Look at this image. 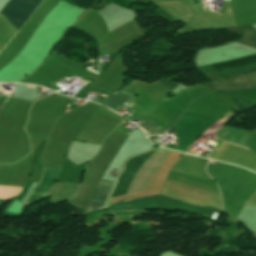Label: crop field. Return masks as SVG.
<instances>
[{
  "instance_id": "obj_1",
  "label": "crop field",
  "mask_w": 256,
  "mask_h": 256,
  "mask_svg": "<svg viewBox=\"0 0 256 256\" xmlns=\"http://www.w3.org/2000/svg\"><path fill=\"white\" fill-rule=\"evenodd\" d=\"M42 0H11L2 13L16 29H20Z\"/></svg>"
},
{
  "instance_id": "obj_2",
  "label": "crop field",
  "mask_w": 256,
  "mask_h": 256,
  "mask_svg": "<svg viewBox=\"0 0 256 256\" xmlns=\"http://www.w3.org/2000/svg\"><path fill=\"white\" fill-rule=\"evenodd\" d=\"M60 171L61 169L45 168L41 183L33 191L31 196L25 203L31 204L38 198L46 196L53 182L57 180Z\"/></svg>"
},
{
  "instance_id": "obj_3",
  "label": "crop field",
  "mask_w": 256,
  "mask_h": 256,
  "mask_svg": "<svg viewBox=\"0 0 256 256\" xmlns=\"http://www.w3.org/2000/svg\"><path fill=\"white\" fill-rule=\"evenodd\" d=\"M113 185H114L113 182H108L103 180L100 181L87 212L99 210L105 207L106 199Z\"/></svg>"
},
{
  "instance_id": "obj_4",
  "label": "crop field",
  "mask_w": 256,
  "mask_h": 256,
  "mask_svg": "<svg viewBox=\"0 0 256 256\" xmlns=\"http://www.w3.org/2000/svg\"><path fill=\"white\" fill-rule=\"evenodd\" d=\"M253 62H256V55L212 65L211 67L214 68L216 71H219V70L237 67V66H241V65H245Z\"/></svg>"
},
{
  "instance_id": "obj_5",
  "label": "crop field",
  "mask_w": 256,
  "mask_h": 256,
  "mask_svg": "<svg viewBox=\"0 0 256 256\" xmlns=\"http://www.w3.org/2000/svg\"><path fill=\"white\" fill-rule=\"evenodd\" d=\"M131 97V95L126 94L124 92H118L114 96H112L110 99L105 101L103 104L113 108V109H118L120 106L125 104Z\"/></svg>"
},
{
  "instance_id": "obj_6",
  "label": "crop field",
  "mask_w": 256,
  "mask_h": 256,
  "mask_svg": "<svg viewBox=\"0 0 256 256\" xmlns=\"http://www.w3.org/2000/svg\"><path fill=\"white\" fill-rule=\"evenodd\" d=\"M149 119V118H148ZM146 120L145 122H143L140 127L143 128L147 133H149L150 135H154V134H162L168 130L164 129L163 127L151 122L150 120ZM144 131V132H145Z\"/></svg>"
},
{
  "instance_id": "obj_7",
  "label": "crop field",
  "mask_w": 256,
  "mask_h": 256,
  "mask_svg": "<svg viewBox=\"0 0 256 256\" xmlns=\"http://www.w3.org/2000/svg\"><path fill=\"white\" fill-rule=\"evenodd\" d=\"M224 141V140H223ZM227 142V141H226ZM230 143V142H229ZM231 144H233V143H231ZM234 145H236V144H234ZM237 146H239V145H237ZM240 147H242V146H240ZM243 148H245V147H243ZM247 149V148H246ZM249 149V148H248Z\"/></svg>"
},
{
  "instance_id": "obj_8",
  "label": "crop field",
  "mask_w": 256,
  "mask_h": 256,
  "mask_svg": "<svg viewBox=\"0 0 256 256\" xmlns=\"http://www.w3.org/2000/svg\"><path fill=\"white\" fill-rule=\"evenodd\" d=\"M132 105H133V104L130 103V104L128 105V107H131Z\"/></svg>"
},
{
  "instance_id": "obj_9",
  "label": "crop field",
  "mask_w": 256,
  "mask_h": 256,
  "mask_svg": "<svg viewBox=\"0 0 256 256\" xmlns=\"http://www.w3.org/2000/svg\"><path fill=\"white\" fill-rule=\"evenodd\" d=\"M1 202H3V201L0 200V203H1Z\"/></svg>"
},
{
  "instance_id": "obj_10",
  "label": "crop field",
  "mask_w": 256,
  "mask_h": 256,
  "mask_svg": "<svg viewBox=\"0 0 256 256\" xmlns=\"http://www.w3.org/2000/svg\"><path fill=\"white\" fill-rule=\"evenodd\" d=\"M67 107H68V105H67Z\"/></svg>"
}]
</instances>
